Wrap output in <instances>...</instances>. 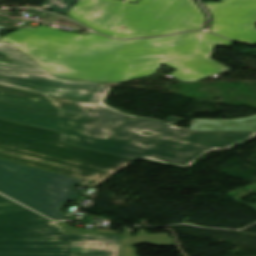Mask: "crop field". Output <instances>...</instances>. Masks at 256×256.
<instances>
[{"mask_svg":"<svg viewBox=\"0 0 256 256\" xmlns=\"http://www.w3.org/2000/svg\"><path fill=\"white\" fill-rule=\"evenodd\" d=\"M0 159L82 179L93 187L133 159L61 144L59 132L0 119Z\"/></svg>","mask_w":256,"mask_h":256,"instance_id":"3","label":"crop field"},{"mask_svg":"<svg viewBox=\"0 0 256 256\" xmlns=\"http://www.w3.org/2000/svg\"><path fill=\"white\" fill-rule=\"evenodd\" d=\"M0 118L61 131L63 142L135 159L187 167L203 154L229 149L256 132L189 131L182 119L123 114L103 103L111 87L56 79L11 44L0 43ZM141 131L151 132V136Z\"/></svg>","mask_w":256,"mask_h":256,"instance_id":"1","label":"crop field"},{"mask_svg":"<svg viewBox=\"0 0 256 256\" xmlns=\"http://www.w3.org/2000/svg\"><path fill=\"white\" fill-rule=\"evenodd\" d=\"M212 15L209 31L231 39L256 43V0L203 2Z\"/></svg>","mask_w":256,"mask_h":256,"instance_id":"7","label":"crop field"},{"mask_svg":"<svg viewBox=\"0 0 256 256\" xmlns=\"http://www.w3.org/2000/svg\"><path fill=\"white\" fill-rule=\"evenodd\" d=\"M77 0H45L42 7L55 13L65 15Z\"/></svg>","mask_w":256,"mask_h":256,"instance_id":"10","label":"crop field"},{"mask_svg":"<svg viewBox=\"0 0 256 256\" xmlns=\"http://www.w3.org/2000/svg\"><path fill=\"white\" fill-rule=\"evenodd\" d=\"M13 28H15V27L8 25L6 23L0 22V36L5 34L8 31H10Z\"/></svg>","mask_w":256,"mask_h":256,"instance_id":"11","label":"crop field"},{"mask_svg":"<svg viewBox=\"0 0 256 256\" xmlns=\"http://www.w3.org/2000/svg\"><path fill=\"white\" fill-rule=\"evenodd\" d=\"M66 15L116 38L201 30L205 20L193 0H78Z\"/></svg>","mask_w":256,"mask_h":256,"instance_id":"4","label":"crop field"},{"mask_svg":"<svg viewBox=\"0 0 256 256\" xmlns=\"http://www.w3.org/2000/svg\"><path fill=\"white\" fill-rule=\"evenodd\" d=\"M0 256H120V233L65 235L0 195Z\"/></svg>","mask_w":256,"mask_h":256,"instance_id":"5","label":"crop field"},{"mask_svg":"<svg viewBox=\"0 0 256 256\" xmlns=\"http://www.w3.org/2000/svg\"><path fill=\"white\" fill-rule=\"evenodd\" d=\"M80 179L0 160V192L53 219L62 220L66 200L74 201Z\"/></svg>","mask_w":256,"mask_h":256,"instance_id":"6","label":"crop field"},{"mask_svg":"<svg viewBox=\"0 0 256 256\" xmlns=\"http://www.w3.org/2000/svg\"><path fill=\"white\" fill-rule=\"evenodd\" d=\"M126 1L137 3L138 0H126Z\"/></svg>","mask_w":256,"mask_h":256,"instance_id":"12","label":"crop field"},{"mask_svg":"<svg viewBox=\"0 0 256 256\" xmlns=\"http://www.w3.org/2000/svg\"><path fill=\"white\" fill-rule=\"evenodd\" d=\"M190 130L256 131V115L235 120L193 119Z\"/></svg>","mask_w":256,"mask_h":256,"instance_id":"8","label":"crop field"},{"mask_svg":"<svg viewBox=\"0 0 256 256\" xmlns=\"http://www.w3.org/2000/svg\"><path fill=\"white\" fill-rule=\"evenodd\" d=\"M130 229L125 228L121 239V256H136L135 249L130 245L149 242L158 246L174 245L172 238L166 233L162 234H145L144 230H140L138 236L130 237Z\"/></svg>","mask_w":256,"mask_h":256,"instance_id":"9","label":"crop field"},{"mask_svg":"<svg viewBox=\"0 0 256 256\" xmlns=\"http://www.w3.org/2000/svg\"><path fill=\"white\" fill-rule=\"evenodd\" d=\"M0 42L13 44L56 78L94 82L147 77L155 74L161 63L176 69L169 75L180 81L217 75L229 69L209 58L213 47L232 44L201 32L119 41L44 26L20 29Z\"/></svg>","mask_w":256,"mask_h":256,"instance_id":"2","label":"crop field"}]
</instances>
